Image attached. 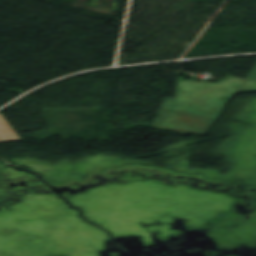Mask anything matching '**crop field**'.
Here are the masks:
<instances>
[{"label": "crop field", "mask_w": 256, "mask_h": 256, "mask_svg": "<svg viewBox=\"0 0 256 256\" xmlns=\"http://www.w3.org/2000/svg\"><path fill=\"white\" fill-rule=\"evenodd\" d=\"M256 91V64L236 93Z\"/></svg>", "instance_id": "obj_1"}]
</instances>
